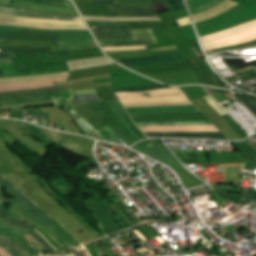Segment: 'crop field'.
Here are the masks:
<instances>
[{
	"label": "crop field",
	"mask_w": 256,
	"mask_h": 256,
	"mask_svg": "<svg viewBox=\"0 0 256 256\" xmlns=\"http://www.w3.org/2000/svg\"><path fill=\"white\" fill-rule=\"evenodd\" d=\"M29 125V124H28ZM31 127V129L34 131V133L39 136L41 139H43L46 143H48L49 145L51 143H53L54 141H52L51 139H49L48 137H46L43 133H41L35 126L29 125Z\"/></svg>",
	"instance_id": "33"
},
{
	"label": "crop field",
	"mask_w": 256,
	"mask_h": 256,
	"mask_svg": "<svg viewBox=\"0 0 256 256\" xmlns=\"http://www.w3.org/2000/svg\"><path fill=\"white\" fill-rule=\"evenodd\" d=\"M50 86H54V84L51 83V84H43V85H35V86L12 88V89H3V90H0V92L13 91V90H23V89H38V88H44V87H50Z\"/></svg>",
	"instance_id": "31"
},
{
	"label": "crop field",
	"mask_w": 256,
	"mask_h": 256,
	"mask_svg": "<svg viewBox=\"0 0 256 256\" xmlns=\"http://www.w3.org/2000/svg\"><path fill=\"white\" fill-rule=\"evenodd\" d=\"M172 7L173 11L184 9L183 0H166Z\"/></svg>",
	"instance_id": "32"
},
{
	"label": "crop field",
	"mask_w": 256,
	"mask_h": 256,
	"mask_svg": "<svg viewBox=\"0 0 256 256\" xmlns=\"http://www.w3.org/2000/svg\"><path fill=\"white\" fill-rule=\"evenodd\" d=\"M149 138L152 137H179V138H210L227 139L221 133H145Z\"/></svg>",
	"instance_id": "14"
},
{
	"label": "crop field",
	"mask_w": 256,
	"mask_h": 256,
	"mask_svg": "<svg viewBox=\"0 0 256 256\" xmlns=\"http://www.w3.org/2000/svg\"><path fill=\"white\" fill-rule=\"evenodd\" d=\"M40 183L41 185L47 190V192L52 195L55 199H57L59 202H61L69 211H71L80 221H82L86 226H88L98 237H101L95 229H93L89 224H87L82 218H80L74 211H72L60 198H58L53 192L50 191V189L47 187V185L44 183V181L38 177L37 175L34 176Z\"/></svg>",
	"instance_id": "21"
},
{
	"label": "crop field",
	"mask_w": 256,
	"mask_h": 256,
	"mask_svg": "<svg viewBox=\"0 0 256 256\" xmlns=\"http://www.w3.org/2000/svg\"><path fill=\"white\" fill-rule=\"evenodd\" d=\"M129 113H151V112H197L194 105L191 106H169L148 108H126Z\"/></svg>",
	"instance_id": "13"
},
{
	"label": "crop field",
	"mask_w": 256,
	"mask_h": 256,
	"mask_svg": "<svg viewBox=\"0 0 256 256\" xmlns=\"http://www.w3.org/2000/svg\"><path fill=\"white\" fill-rule=\"evenodd\" d=\"M0 25L30 27L43 30H87L83 22L49 20V19H27L14 16L0 15Z\"/></svg>",
	"instance_id": "4"
},
{
	"label": "crop field",
	"mask_w": 256,
	"mask_h": 256,
	"mask_svg": "<svg viewBox=\"0 0 256 256\" xmlns=\"http://www.w3.org/2000/svg\"><path fill=\"white\" fill-rule=\"evenodd\" d=\"M97 39L103 38H127L134 37L135 43H106L101 44L102 47L117 46H139L155 44L157 41L153 37L150 30H131V31H93Z\"/></svg>",
	"instance_id": "6"
},
{
	"label": "crop field",
	"mask_w": 256,
	"mask_h": 256,
	"mask_svg": "<svg viewBox=\"0 0 256 256\" xmlns=\"http://www.w3.org/2000/svg\"><path fill=\"white\" fill-rule=\"evenodd\" d=\"M0 14L22 16V17H28V18H49V19L81 21L80 17L55 15V14H48V13H42V12L21 10L14 7L1 6V5H0Z\"/></svg>",
	"instance_id": "9"
},
{
	"label": "crop field",
	"mask_w": 256,
	"mask_h": 256,
	"mask_svg": "<svg viewBox=\"0 0 256 256\" xmlns=\"http://www.w3.org/2000/svg\"><path fill=\"white\" fill-rule=\"evenodd\" d=\"M160 88H168V86L157 85V86L134 87V88L117 89V90H114V92H139V91H146V90H153V89H160Z\"/></svg>",
	"instance_id": "22"
},
{
	"label": "crop field",
	"mask_w": 256,
	"mask_h": 256,
	"mask_svg": "<svg viewBox=\"0 0 256 256\" xmlns=\"http://www.w3.org/2000/svg\"><path fill=\"white\" fill-rule=\"evenodd\" d=\"M103 106L119 121V123L136 139H141L143 136L127 121V119L110 103H105Z\"/></svg>",
	"instance_id": "15"
},
{
	"label": "crop field",
	"mask_w": 256,
	"mask_h": 256,
	"mask_svg": "<svg viewBox=\"0 0 256 256\" xmlns=\"http://www.w3.org/2000/svg\"><path fill=\"white\" fill-rule=\"evenodd\" d=\"M0 218L4 221L14 225L15 227L25 231L32 238H34L42 247H44L47 251H55L37 232H31V228L23 223H19L15 221L12 217L6 214L3 210L0 209Z\"/></svg>",
	"instance_id": "12"
},
{
	"label": "crop field",
	"mask_w": 256,
	"mask_h": 256,
	"mask_svg": "<svg viewBox=\"0 0 256 256\" xmlns=\"http://www.w3.org/2000/svg\"><path fill=\"white\" fill-rule=\"evenodd\" d=\"M40 4H46V5H53V6H59V7H66V8H72V4L70 1L65 0H38Z\"/></svg>",
	"instance_id": "23"
},
{
	"label": "crop field",
	"mask_w": 256,
	"mask_h": 256,
	"mask_svg": "<svg viewBox=\"0 0 256 256\" xmlns=\"http://www.w3.org/2000/svg\"><path fill=\"white\" fill-rule=\"evenodd\" d=\"M0 186H6V191L11 194L15 198V200L29 213L35 215L42 221H44L48 226H50L53 230L57 229L47 218H45L42 214L36 212L33 208L36 207L33 205L21 192H19L15 186L3 175L0 174Z\"/></svg>",
	"instance_id": "8"
},
{
	"label": "crop field",
	"mask_w": 256,
	"mask_h": 256,
	"mask_svg": "<svg viewBox=\"0 0 256 256\" xmlns=\"http://www.w3.org/2000/svg\"><path fill=\"white\" fill-rule=\"evenodd\" d=\"M93 3L116 5L117 2L109 0H94Z\"/></svg>",
	"instance_id": "41"
},
{
	"label": "crop field",
	"mask_w": 256,
	"mask_h": 256,
	"mask_svg": "<svg viewBox=\"0 0 256 256\" xmlns=\"http://www.w3.org/2000/svg\"><path fill=\"white\" fill-rule=\"evenodd\" d=\"M192 104L191 102H179V103H164V104H151V105H135V106H125V107H142V106H163V105H186Z\"/></svg>",
	"instance_id": "35"
},
{
	"label": "crop field",
	"mask_w": 256,
	"mask_h": 256,
	"mask_svg": "<svg viewBox=\"0 0 256 256\" xmlns=\"http://www.w3.org/2000/svg\"><path fill=\"white\" fill-rule=\"evenodd\" d=\"M62 91H68L66 85H60V86H55V87L45 88V89H38V90L4 92V93H0V96H4V97H0V100L16 98V97H23V96L42 95V94L62 92Z\"/></svg>",
	"instance_id": "11"
},
{
	"label": "crop field",
	"mask_w": 256,
	"mask_h": 256,
	"mask_svg": "<svg viewBox=\"0 0 256 256\" xmlns=\"http://www.w3.org/2000/svg\"><path fill=\"white\" fill-rule=\"evenodd\" d=\"M237 3L231 2L229 0L219 4L218 6L207 10L203 13L197 14V15H193V19L195 21V23L206 20L208 18L214 17L230 8H232L233 6H235Z\"/></svg>",
	"instance_id": "16"
},
{
	"label": "crop field",
	"mask_w": 256,
	"mask_h": 256,
	"mask_svg": "<svg viewBox=\"0 0 256 256\" xmlns=\"http://www.w3.org/2000/svg\"><path fill=\"white\" fill-rule=\"evenodd\" d=\"M222 1L224 0H187L192 15L210 9Z\"/></svg>",
	"instance_id": "17"
},
{
	"label": "crop field",
	"mask_w": 256,
	"mask_h": 256,
	"mask_svg": "<svg viewBox=\"0 0 256 256\" xmlns=\"http://www.w3.org/2000/svg\"><path fill=\"white\" fill-rule=\"evenodd\" d=\"M52 100L50 96L47 97H40V98H32V99H26V100H14V101H8L3 102V105H13V104H22V103H31V102H39V101H48Z\"/></svg>",
	"instance_id": "24"
},
{
	"label": "crop field",
	"mask_w": 256,
	"mask_h": 256,
	"mask_svg": "<svg viewBox=\"0 0 256 256\" xmlns=\"http://www.w3.org/2000/svg\"><path fill=\"white\" fill-rule=\"evenodd\" d=\"M178 23L180 24V26L191 24L188 17L184 18V19H181V20H178Z\"/></svg>",
	"instance_id": "42"
},
{
	"label": "crop field",
	"mask_w": 256,
	"mask_h": 256,
	"mask_svg": "<svg viewBox=\"0 0 256 256\" xmlns=\"http://www.w3.org/2000/svg\"><path fill=\"white\" fill-rule=\"evenodd\" d=\"M205 50L237 45L256 39V21L201 38Z\"/></svg>",
	"instance_id": "1"
},
{
	"label": "crop field",
	"mask_w": 256,
	"mask_h": 256,
	"mask_svg": "<svg viewBox=\"0 0 256 256\" xmlns=\"http://www.w3.org/2000/svg\"><path fill=\"white\" fill-rule=\"evenodd\" d=\"M65 55H72L70 51H61V52H49L48 57L51 56H65Z\"/></svg>",
	"instance_id": "39"
},
{
	"label": "crop field",
	"mask_w": 256,
	"mask_h": 256,
	"mask_svg": "<svg viewBox=\"0 0 256 256\" xmlns=\"http://www.w3.org/2000/svg\"><path fill=\"white\" fill-rule=\"evenodd\" d=\"M220 193V192H218ZM223 196L227 197L228 199L240 204V200H241V195H237V194H226V193H220Z\"/></svg>",
	"instance_id": "37"
},
{
	"label": "crop field",
	"mask_w": 256,
	"mask_h": 256,
	"mask_svg": "<svg viewBox=\"0 0 256 256\" xmlns=\"http://www.w3.org/2000/svg\"><path fill=\"white\" fill-rule=\"evenodd\" d=\"M97 132H98L102 137H104L107 141H110V142H114L112 139L118 137V136H116V135L111 131V129H110L108 126L97 130Z\"/></svg>",
	"instance_id": "27"
},
{
	"label": "crop field",
	"mask_w": 256,
	"mask_h": 256,
	"mask_svg": "<svg viewBox=\"0 0 256 256\" xmlns=\"http://www.w3.org/2000/svg\"><path fill=\"white\" fill-rule=\"evenodd\" d=\"M0 248L4 249L11 256H29L17 244L0 235Z\"/></svg>",
	"instance_id": "18"
},
{
	"label": "crop field",
	"mask_w": 256,
	"mask_h": 256,
	"mask_svg": "<svg viewBox=\"0 0 256 256\" xmlns=\"http://www.w3.org/2000/svg\"><path fill=\"white\" fill-rule=\"evenodd\" d=\"M75 91L76 90L70 91V92L51 94L55 106L69 105L73 98ZM42 96H47V95H42ZM34 97H39V96H34ZM25 98H31V97H25ZM16 99H23V98H16ZM10 100H14V99H10ZM3 101H6V100H3Z\"/></svg>",
	"instance_id": "19"
},
{
	"label": "crop field",
	"mask_w": 256,
	"mask_h": 256,
	"mask_svg": "<svg viewBox=\"0 0 256 256\" xmlns=\"http://www.w3.org/2000/svg\"><path fill=\"white\" fill-rule=\"evenodd\" d=\"M150 94L143 96V94ZM123 105L189 101L179 88H168L140 93H115Z\"/></svg>",
	"instance_id": "3"
},
{
	"label": "crop field",
	"mask_w": 256,
	"mask_h": 256,
	"mask_svg": "<svg viewBox=\"0 0 256 256\" xmlns=\"http://www.w3.org/2000/svg\"><path fill=\"white\" fill-rule=\"evenodd\" d=\"M64 80H66L65 77L59 78V79H53V80L31 82V83L10 84V85L0 86V89H2V88H11V87H18V86H26V85L43 84V83H50V82H58V81H64Z\"/></svg>",
	"instance_id": "25"
},
{
	"label": "crop field",
	"mask_w": 256,
	"mask_h": 256,
	"mask_svg": "<svg viewBox=\"0 0 256 256\" xmlns=\"http://www.w3.org/2000/svg\"><path fill=\"white\" fill-rule=\"evenodd\" d=\"M7 140L10 145L13 144L15 142V140L13 138H11L6 132L5 130L0 126V142L7 147V145L3 142ZM8 148V147H7Z\"/></svg>",
	"instance_id": "30"
},
{
	"label": "crop field",
	"mask_w": 256,
	"mask_h": 256,
	"mask_svg": "<svg viewBox=\"0 0 256 256\" xmlns=\"http://www.w3.org/2000/svg\"><path fill=\"white\" fill-rule=\"evenodd\" d=\"M243 191V190H241ZM250 199L256 201V193L244 191L243 193V204H245Z\"/></svg>",
	"instance_id": "34"
},
{
	"label": "crop field",
	"mask_w": 256,
	"mask_h": 256,
	"mask_svg": "<svg viewBox=\"0 0 256 256\" xmlns=\"http://www.w3.org/2000/svg\"><path fill=\"white\" fill-rule=\"evenodd\" d=\"M122 8L131 16V17H158L155 12L151 9H141V8H133V7H125Z\"/></svg>",
	"instance_id": "20"
},
{
	"label": "crop field",
	"mask_w": 256,
	"mask_h": 256,
	"mask_svg": "<svg viewBox=\"0 0 256 256\" xmlns=\"http://www.w3.org/2000/svg\"><path fill=\"white\" fill-rule=\"evenodd\" d=\"M183 59L180 52L172 53L168 55L154 56V57H140L125 60H117L127 67L149 65L154 63L169 62Z\"/></svg>",
	"instance_id": "10"
},
{
	"label": "crop field",
	"mask_w": 256,
	"mask_h": 256,
	"mask_svg": "<svg viewBox=\"0 0 256 256\" xmlns=\"http://www.w3.org/2000/svg\"><path fill=\"white\" fill-rule=\"evenodd\" d=\"M86 247L89 249V251L91 252L92 256H98L96 251L93 249V247L91 246V244L86 245Z\"/></svg>",
	"instance_id": "44"
},
{
	"label": "crop field",
	"mask_w": 256,
	"mask_h": 256,
	"mask_svg": "<svg viewBox=\"0 0 256 256\" xmlns=\"http://www.w3.org/2000/svg\"><path fill=\"white\" fill-rule=\"evenodd\" d=\"M234 97H236L239 101H241L249 110H251L255 115H256V105L254 103H256L255 100H253L250 97H238L233 95Z\"/></svg>",
	"instance_id": "26"
},
{
	"label": "crop field",
	"mask_w": 256,
	"mask_h": 256,
	"mask_svg": "<svg viewBox=\"0 0 256 256\" xmlns=\"http://www.w3.org/2000/svg\"><path fill=\"white\" fill-rule=\"evenodd\" d=\"M140 126L163 125H206L211 122H166V123H136ZM144 132H219L214 125L207 126H164V127H140Z\"/></svg>",
	"instance_id": "7"
},
{
	"label": "crop field",
	"mask_w": 256,
	"mask_h": 256,
	"mask_svg": "<svg viewBox=\"0 0 256 256\" xmlns=\"http://www.w3.org/2000/svg\"><path fill=\"white\" fill-rule=\"evenodd\" d=\"M66 62L27 65H0L3 78L43 75L69 71Z\"/></svg>",
	"instance_id": "5"
},
{
	"label": "crop field",
	"mask_w": 256,
	"mask_h": 256,
	"mask_svg": "<svg viewBox=\"0 0 256 256\" xmlns=\"http://www.w3.org/2000/svg\"><path fill=\"white\" fill-rule=\"evenodd\" d=\"M104 16H114V17H118V13L104 12Z\"/></svg>",
	"instance_id": "46"
},
{
	"label": "crop field",
	"mask_w": 256,
	"mask_h": 256,
	"mask_svg": "<svg viewBox=\"0 0 256 256\" xmlns=\"http://www.w3.org/2000/svg\"><path fill=\"white\" fill-rule=\"evenodd\" d=\"M0 148L3 149L7 154H9L12 158H14L19 164H21L24 168H26L29 172L33 171L31 168H29L20 158H18L16 155H14L12 152H10L7 148H5L0 143Z\"/></svg>",
	"instance_id": "29"
},
{
	"label": "crop field",
	"mask_w": 256,
	"mask_h": 256,
	"mask_svg": "<svg viewBox=\"0 0 256 256\" xmlns=\"http://www.w3.org/2000/svg\"><path fill=\"white\" fill-rule=\"evenodd\" d=\"M0 256H10L8 253L0 249Z\"/></svg>",
	"instance_id": "47"
},
{
	"label": "crop field",
	"mask_w": 256,
	"mask_h": 256,
	"mask_svg": "<svg viewBox=\"0 0 256 256\" xmlns=\"http://www.w3.org/2000/svg\"><path fill=\"white\" fill-rule=\"evenodd\" d=\"M175 46L165 47V48H158V49H151V50H140V51H127V52H107L108 55H115V54H134V53H144V52H155L160 50H168L174 49Z\"/></svg>",
	"instance_id": "28"
},
{
	"label": "crop field",
	"mask_w": 256,
	"mask_h": 256,
	"mask_svg": "<svg viewBox=\"0 0 256 256\" xmlns=\"http://www.w3.org/2000/svg\"><path fill=\"white\" fill-rule=\"evenodd\" d=\"M0 64H12L11 58L0 59Z\"/></svg>",
	"instance_id": "43"
},
{
	"label": "crop field",
	"mask_w": 256,
	"mask_h": 256,
	"mask_svg": "<svg viewBox=\"0 0 256 256\" xmlns=\"http://www.w3.org/2000/svg\"><path fill=\"white\" fill-rule=\"evenodd\" d=\"M3 57H15V56H13V55L10 54V53L0 52V58H3Z\"/></svg>",
	"instance_id": "45"
},
{
	"label": "crop field",
	"mask_w": 256,
	"mask_h": 256,
	"mask_svg": "<svg viewBox=\"0 0 256 256\" xmlns=\"http://www.w3.org/2000/svg\"><path fill=\"white\" fill-rule=\"evenodd\" d=\"M104 51H112V50H140V49H146L145 46L140 47H119V48H103Z\"/></svg>",
	"instance_id": "36"
},
{
	"label": "crop field",
	"mask_w": 256,
	"mask_h": 256,
	"mask_svg": "<svg viewBox=\"0 0 256 256\" xmlns=\"http://www.w3.org/2000/svg\"><path fill=\"white\" fill-rule=\"evenodd\" d=\"M91 30H126L129 27H90Z\"/></svg>",
	"instance_id": "38"
},
{
	"label": "crop field",
	"mask_w": 256,
	"mask_h": 256,
	"mask_svg": "<svg viewBox=\"0 0 256 256\" xmlns=\"http://www.w3.org/2000/svg\"><path fill=\"white\" fill-rule=\"evenodd\" d=\"M0 230H2V231H4V232H6V233H8V234H10V235H12V236L18 238V239L21 240L32 252H34L36 255H38V253H37L36 251H34V250L28 245V243H27L26 241H24L23 239H21L20 237H18V236H16V235H14V234H12V233H10V232H8V231L2 229V228H0Z\"/></svg>",
	"instance_id": "40"
},
{
	"label": "crop field",
	"mask_w": 256,
	"mask_h": 256,
	"mask_svg": "<svg viewBox=\"0 0 256 256\" xmlns=\"http://www.w3.org/2000/svg\"><path fill=\"white\" fill-rule=\"evenodd\" d=\"M1 194H3V192L0 189V208H2L6 213H8L17 220L21 219L29 223L36 230H38L57 250L71 248L49 227H47L40 220H38L33 215L25 211L22 207H20L13 198L5 200ZM5 201H7L11 206V209L8 211L5 209L3 205Z\"/></svg>",
	"instance_id": "2"
}]
</instances>
